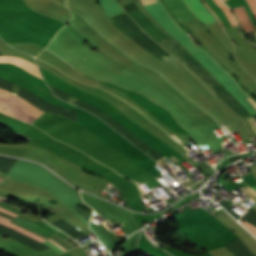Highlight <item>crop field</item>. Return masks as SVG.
I'll return each instance as SVG.
<instances>
[{"mask_svg":"<svg viewBox=\"0 0 256 256\" xmlns=\"http://www.w3.org/2000/svg\"><path fill=\"white\" fill-rule=\"evenodd\" d=\"M243 9H244V7H243ZM232 10H233L239 24L243 27V29L246 32L254 31L255 28L253 29L252 26H251L252 24L251 25L249 24V22H248V20H247V18H246V16H245L241 7L235 8V9H232ZM244 11H245V9H244ZM245 13H246V11H245ZM246 15H247V13H246ZM247 17H248V15H247ZM248 19H249V17H248ZM249 21H250V19H249Z\"/></svg>","mask_w":256,"mask_h":256,"instance_id":"obj_5","label":"crop field"},{"mask_svg":"<svg viewBox=\"0 0 256 256\" xmlns=\"http://www.w3.org/2000/svg\"><path fill=\"white\" fill-rule=\"evenodd\" d=\"M191 12L202 22L203 25L214 22L211 15L200 4L199 0H183Z\"/></svg>","mask_w":256,"mask_h":256,"instance_id":"obj_2","label":"crop field"},{"mask_svg":"<svg viewBox=\"0 0 256 256\" xmlns=\"http://www.w3.org/2000/svg\"><path fill=\"white\" fill-rule=\"evenodd\" d=\"M253 199V198H252Z\"/></svg>","mask_w":256,"mask_h":256,"instance_id":"obj_12","label":"crop field"},{"mask_svg":"<svg viewBox=\"0 0 256 256\" xmlns=\"http://www.w3.org/2000/svg\"><path fill=\"white\" fill-rule=\"evenodd\" d=\"M165 2L181 22L194 17L186 5L183 4L182 0H165Z\"/></svg>","mask_w":256,"mask_h":256,"instance_id":"obj_3","label":"crop field"},{"mask_svg":"<svg viewBox=\"0 0 256 256\" xmlns=\"http://www.w3.org/2000/svg\"><path fill=\"white\" fill-rule=\"evenodd\" d=\"M254 35L256 36V32L254 33Z\"/></svg>","mask_w":256,"mask_h":256,"instance_id":"obj_10","label":"crop field"},{"mask_svg":"<svg viewBox=\"0 0 256 256\" xmlns=\"http://www.w3.org/2000/svg\"><path fill=\"white\" fill-rule=\"evenodd\" d=\"M249 6L251 7L254 16H256V0H247Z\"/></svg>","mask_w":256,"mask_h":256,"instance_id":"obj_8","label":"crop field"},{"mask_svg":"<svg viewBox=\"0 0 256 256\" xmlns=\"http://www.w3.org/2000/svg\"><path fill=\"white\" fill-rule=\"evenodd\" d=\"M256 210V204L254 206H251ZM244 227H246L251 233H253L256 236V227L249 224L248 222H243L242 223Z\"/></svg>","mask_w":256,"mask_h":256,"instance_id":"obj_7","label":"crop field"},{"mask_svg":"<svg viewBox=\"0 0 256 256\" xmlns=\"http://www.w3.org/2000/svg\"><path fill=\"white\" fill-rule=\"evenodd\" d=\"M252 188L256 190V186H255V187H252Z\"/></svg>","mask_w":256,"mask_h":256,"instance_id":"obj_9","label":"crop field"},{"mask_svg":"<svg viewBox=\"0 0 256 256\" xmlns=\"http://www.w3.org/2000/svg\"><path fill=\"white\" fill-rule=\"evenodd\" d=\"M203 1H204V0H203ZM204 2H205V1H204ZM206 2H207V4H208V6H209V7L216 13V15L219 17L221 23H222L225 27L229 26L230 23H229V21L227 20L226 16H225V15L223 14V12L214 4V2H213L212 0H206ZM205 4H206V3H205ZM208 6H207V7H208ZM209 7H208V8H209ZM213 11H212V12H213ZM214 12H213V13H214ZM215 13H214V14H215ZM216 15H215V16H216ZM217 16H216V17H217ZM217 19H218V18H217ZM218 21H219V20H218ZM220 21H219V22H220ZM221 23H220V24H221ZM222 24H221V25H222ZM223 25H222V26H223ZM224 26H223V28H225Z\"/></svg>","mask_w":256,"mask_h":256,"instance_id":"obj_6","label":"crop field"},{"mask_svg":"<svg viewBox=\"0 0 256 256\" xmlns=\"http://www.w3.org/2000/svg\"><path fill=\"white\" fill-rule=\"evenodd\" d=\"M253 177V176H252ZM254 178V177H253ZM255 179V178H254ZM256 180V179H255Z\"/></svg>","mask_w":256,"mask_h":256,"instance_id":"obj_11","label":"crop field"},{"mask_svg":"<svg viewBox=\"0 0 256 256\" xmlns=\"http://www.w3.org/2000/svg\"><path fill=\"white\" fill-rule=\"evenodd\" d=\"M43 111L3 89H0V113L33 124Z\"/></svg>","mask_w":256,"mask_h":256,"instance_id":"obj_1","label":"crop field"},{"mask_svg":"<svg viewBox=\"0 0 256 256\" xmlns=\"http://www.w3.org/2000/svg\"><path fill=\"white\" fill-rule=\"evenodd\" d=\"M0 62L13 63V64L20 66L21 68L27 70L28 72L34 74L35 76L41 78L37 67L21 58L12 57V56H0Z\"/></svg>","mask_w":256,"mask_h":256,"instance_id":"obj_4","label":"crop field"}]
</instances>
